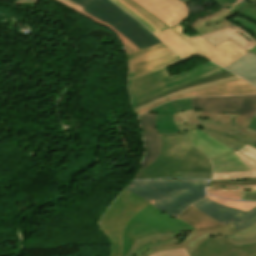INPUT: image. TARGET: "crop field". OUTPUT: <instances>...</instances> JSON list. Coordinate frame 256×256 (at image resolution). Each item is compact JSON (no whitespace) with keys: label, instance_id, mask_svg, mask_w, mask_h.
Returning a JSON list of instances; mask_svg holds the SVG:
<instances>
[{"label":"crop field","instance_id":"cbeb9de0","mask_svg":"<svg viewBox=\"0 0 256 256\" xmlns=\"http://www.w3.org/2000/svg\"><path fill=\"white\" fill-rule=\"evenodd\" d=\"M253 93H256V89L253 86H251L248 82L241 79V80L213 86V87H210V88H207L204 90H200L197 92L182 94L179 96H175V97L160 101V102L150 106L147 109L137 112V115H140V114L150 110L154 106L161 104L163 102L180 99V98H184V97H189V96L237 95V94H253Z\"/></svg>","mask_w":256,"mask_h":256},{"label":"crop field","instance_id":"4177f3b9","mask_svg":"<svg viewBox=\"0 0 256 256\" xmlns=\"http://www.w3.org/2000/svg\"><path fill=\"white\" fill-rule=\"evenodd\" d=\"M214 172H235L249 170L234 154L212 161Z\"/></svg>","mask_w":256,"mask_h":256},{"label":"crop field","instance_id":"d8731c3e","mask_svg":"<svg viewBox=\"0 0 256 256\" xmlns=\"http://www.w3.org/2000/svg\"><path fill=\"white\" fill-rule=\"evenodd\" d=\"M147 204L149 202L124 189L100 219V227L112 243L110 256H122V233L124 226Z\"/></svg>","mask_w":256,"mask_h":256},{"label":"crop field","instance_id":"ac0d7876","mask_svg":"<svg viewBox=\"0 0 256 256\" xmlns=\"http://www.w3.org/2000/svg\"><path fill=\"white\" fill-rule=\"evenodd\" d=\"M207 182L171 179L131 181L125 189L150 201L157 209L175 218L189 205L204 199Z\"/></svg>","mask_w":256,"mask_h":256},{"label":"crop field","instance_id":"d23c7cc5","mask_svg":"<svg viewBox=\"0 0 256 256\" xmlns=\"http://www.w3.org/2000/svg\"><path fill=\"white\" fill-rule=\"evenodd\" d=\"M180 1H182L186 4V3L190 2L191 0H180Z\"/></svg>","mask_w":256,"mask_h":256},{"label":"crop field","instance_id":"120bbe31","mask_svg":"<svg viewBox=\"0 0 256 256\" xmlns=\"http://www.w3.org/2000/svg\"><path fill=\"white\" fill-rule=\"evenodd\" d=\"M150 256H189L185 248L156 252Z\"/></svg>","mask_w":256,"mask_h":256},{"label":"crop field","instance_id":"b54c1fbb","mask_svg":"<svg viewBox=\"0 0 256 256\" xmlns=\"http://www.w3.org/2000/svg\"><path fill=\"white\" fill-rule=\"evenodd\" d=\"M243 192H251V191H256V186L253 187H243L242 188Z\"/></svg>","mask_w":256,"mask_h":256},{"label":"crop field","instance_id":"412701ff","mask_svg":"<svg viewBox=\"0 0 256 256\" xmlns=\"http://www.w3.org/2000/svg\"><path fill=\"white\" fill-rule=\"evenodd\" d=\"M215 1L220 6H232L220 9L221 12H216L213 16L195 21L192 29L214 46L230 39L249 52L256 46V40L226 19L239 13L256 22V6L249 3L238 4L236 0Z\"/></svg>","mask_w":256,"mask_h":256},{"label":"crop field","instance_id":"5d738f31","mask_svg":"<svg viewBox=\"0 0 256 256\" xmlns=\"http://www.w3.org/2000/svg\"><path fill=\"white\" fill-rule=\"evenodd\" d=\"M211 185H221V181H212Z\"/></svg>","mask_w":256,"mask_h":256},{"label":"crop field","instance_id":"733c2abd","mask_svg":"<svg viewBox=\"0 0 256 256\" xmlns=\"http://www.w3.org/2000/svg\"><path fill=\"white\" fill-rule=\"evenodd\" d=\"M156 114L146 113L140 116V122L143 128L144 140L146 145V154L141 169L147 167L159 155L161 150V137L157 134L154 124ZM150 128V129H148ZM140 169V170H141Z\"/></svg>","mask_w":256,"mask_h":256},{"label":"crop field","instance_id":"eef30255","mask_svg":"<svg viewBox=\"0 0 256 256\" xmlns=\"http://www.w3.org/2000/svg\"><path fill=\"white\" fill-rule=\"evenodd\" d=\"M237 79H241L235 75L231 76V77H227V78H222V79H219V80H216L214 82H210V83H206V84H203V85H199V86H196V87H191V88H187L185 90H181V91H178V92H175V93H172L170 95H167L165 97H162L158 100H155L153 102H150V103H147L137 109H135V112L138 111V110H141V109H144V108H147L149 107L151 104L153 103H156L160 100H163V99H166V98H169V97H172V96H175V95H179V94H182V93H186V92H192V91H197V90H200V89H203V88H207V87H210V86H213V85H217V84H221V83H225V82H229V81H233V80H237Z\"/></svg>","mask_w":256,"mask_h":256},{"label":"crop field","instance_id":"92a150f3","mask_svg":"<svg viewBox=\"0 0 256 256\" xmlns=\"http://www.w3.org/2000/svg\"><path fill=\"white\" fill-rule=\"evenodd\" d=\"M206 215V214H205ZM193 207L189 206L179 218L193 226L197 231L210 230L224 226L223 224L205 216Z\"/></svg>","mask_w":256,"mask_h":256},{"label":"crop field","instance_id":"b80d0937","mask_svg":"<svg viewBox=\"0 0 256 256\" xmlns=\"http://www.w3.org/2000/svg\"><path fill=\"white\" fill-rule=\"evenodd\" d=\"M206 190L241 191V187H235V186H208Z\"/></svg>","mask_w":256,"mask_h":256},{"label":"crop field","instance_id":"28ad6ade","mask_svg":"<svg viewBox=\"0 0 256 256\" xmlns=\"http://www.w3.org/2000/svg\"><path fill=\"white\" fill-rule=\"evenodd\" d=\"M191 206L225 225L232 221L237 231L256 224V207L244 212L222 206L207 198Z\"/></svg>","mask_w":256,"mask_h":256},{"label":"crop field","instance_id":"d9b57169","mask_svg":"<svg viewBox=\"0 0 256 256\" xmlns=\"http://www.w3.org/2000/svg\"><path fill=\"white\" fill-rule=\"evenodd\" d=\"M236 232L232 223H229L223 228L214 229L210 231H199V232H190L179 244L158 246L152 249L147 250L141 256H149L151 253L161 250L174 249L179 247H185L189 255L196 249L197 245L205 240L206 238L217 236V235H227Z\"/></svg>","mask_w":256,"mask_h":256},{"label":"crop field","instance_id":"8a807250","mask_svg":"<svg viewBox=\"0 0 256 256\" xmlns=\"http://www.w3.org/2000/svg\"><path fill=\"white\" fill-rule=\"evenodd\" d=\"M57 1L110 27L118 34L128 54L161 43L138 21L109 0Z\"/></svg>","mask_w":256,"mask_h":256},{"label":"crop field","instance_id":"750c4746","mask_svg":"<svg viewBox=\"0 0 256 256\" xmlns=\"http://www.w3.org/2000/svg\"><path fill=\"white\" fill-rule=\"evenodd\" d=\"M238 152L256 160V147H250L248 145L242 147ZM222 185H235V186H243V185H256L255 180H246V181H222ZM256 192L251 193H243V194H253Z\"/></svg>","mask_w":256,"mask_h":256},{"label":"crop field","instance_id":"c035e120","mask_svg":"<svg viewBox=\"0 0 256 256\" xmlns=\"http://www.w3.org/2000/svg\"><path fill=\"white\" fill-rule=\"evenodd\" d=\"M172 31H174L180 38H182L184 41L187 40L188 38L186 36H184L181 31H182V27L177 25L173 28H171Z\"/></svg>","mask_w":256,"mask_h":256},{"label":"crop field","instance_id":"bc2a9ffb","mask_svg":"<svg viewBox=\"0 0 256 256\" xmlns=\"http://www.w3.org/2000/svg\"><path fill=\"white\" fill-rule=\"evenodd\" d=\"M190 135L194 142V147L204 152L209 160L227 155L233 150L226 147L222 143L203 133L202 131L195 129L190 131Z\"/></svg>","mask_w":256,"mask_h":256},{"label":"crop field","instance_id":"a9b5d70f","mask_svg":"<svg viewBox=\"0 0 256 256\" xmlns=\"http://www.w3.org/2000/svg\"><path fill=\"white\" fill-rule=\"evenodd\" d=\"M243 163L251 170L246 172H236V173H213V180H245V179H255L256 178V161L238 153L234 152Z\"/></svg>","mask_w":256,"mask_h":256},{"label":"crop field","instance_id":"5866460e","mask_svg":"<svg viewBox=\"0 0 256 256\" xmlns=\"http://www.w3.org/2000/svg\"><path fill=\"white\" fill-rule=\"evenodd\" d=\"M233 237L234 239L256 237V225L234 234Z\"/></svg>","mask_w":256,"mask_h":256},{"label":"crop field","instance_id":"34b2d1b8","mask_svg":"<svg viewBox=\"0 0 256 256\" xmlns=\"http://www.w3.org/2000/svg\"><path fill=\"white\" fill-rule=\"evenodd\" d=\"M163 152L134 179L169 177L176 172H212L207 156L193 147L189 132L163 134Z\"/></svg>","mask_w":256,"mask_h":256},{"label":"crop field","instance_id":"d3111659","mask_svg":"<svg viewBox=\"0 0 256 256\" xmlns=\"http://www.w3.org/2000/svg\"><path fill=\"white\" fill-rule=\"evenodd\" d=\"M180 61H182V59L179 56H177V57H174L172 59L163 61L161 63L155 64V65H152V66H149V67H146V68L134 71V72H131V73H129V79L161 70L162 68H165L169 65L175 64V63L180 62Z\"/></svg>","mask_w":256,"mask_h":256},{"label":"crop field","instance_id":"ae1a2a85","mask_svg":"<svg viewBox=\"0 0 256 256\" xmlns=\"http://www.w3.org/2000/svg\"><path fill=\"white\" fill-rule=\"evenodd\" d=\"M198 115L220 120V121H228V122H235L238 124H241L243 126L248 127L250 120L236 114H212V113H207L203 111L198 110Z\"/></svg>","mask_w":256,"mask_h":256},{"label":"crop field","instance_id":"f4fd0767","mask_svg":"<svg viewBox=\"0 0 256 256\" xmlns=\"http://www.w3.org/2000/svg\"><path fill=\"white\" fill-rule=\"evenodd\" d=\"M225 71L206 62L190 71L171 76L166 69L129 81L132 106L177 87ZM144 85V87H142Z\"/></svg>","mask_w":256,"mask_h":256},{"label":"crop field","instance_id":"dafd665d","mask_svg":"<svg viewBox=\"0 0 256 256\" xmlns=\"http://www.w3.org/2000/svg\"><path fill=\"white\" fill-rule=\"evenodd\" d=\"M179 233L164 235L155 234L152 236L144 237L135 244L128 256H140L148 248L158 245L179 243V241L175 238Z\"/></svg>","mask_w":256,"mask_h":256},{"label":"crop field","instance_id":"e1f06a70","mask_svg":"<svg viewBox=\"0 0 256 256\" xmlns=\"http://www.w3.org/2000/svg\"><path fill=\"white\" fill-rule=\"evenodd\" d=\"M233 246H245L256 243V238H247L241 240H233L232 235L227 236Z\"/></svg>","mask_w":256,"mask_h":256},{"label":"crop field","instance_id":"00972430","mask_svg":"<svg viewBox=\"0 0 256 256\" xmlns=\"http://www.w3.org/2000/svg\"><path fill=\"white\" fill-rule=\"evenodd\" d=\"M174 56H177V54H175L172 50L167 48L144 56L137 57L129 61V72L161 62Z\"/></svg>","mask_w":256,"mask_h":256},{"label":"crop field","instance_id":"5142ce71","mask_svg":"<svg viewBox=\"0 0 256 256\" xmlns=\"http://www.w3.org/2000/svg\"><path fill=\"white\" fill-rule=\"evenodd\" d=\"M192 109L190 98L162 104L149 112L158 113L155 124L159 134L180 132L173 121V113Z\"/></svg>","mask_w":256,"mask_h":256},{"label":"crop field","instance_id":"c21b1889","mask_svg":"<svg viewBox=\"0 0 256 256\" xmlns=\"http://www.w3.org/2000/svg\"><path fill=\"white\" fill-rule=\"evenodd\" d=\"M243 200L256 201V194H254V195H243Z\"/></svg>","mask_w":256,"mask_h":256},{"label":"crop field","instance_id":"22f410ed","mask_svg":"<svg viewBox=\"0 0 256 256\" xmlns=\"http://www.w3.org/2000/svg\"><path fill=\"white\" fill-rule=\"evenodd\" d=\"M190 256H256V244L233 247L226 236L209 238L199 244Z\"/></svg>","mask_w":256,"mask_h":256},{"label":"crop field","instance_id":"e52e79f7","mask_svg":"<svg viewBox=\"0 0 256 256\" xmlns=\"http://www.w3.org/2000/svg\"><path fill=\"white\" fill-rule=\"evenodd\" d=\"M194 230L186 223L158 211L151 204L141 209L126 225L123 234V256L137 239L152 233H172Z\"/></svg>","mask_w":256,"mask_h":256},{"label":"crop field","instance_id":"4a817a6b","mask_svg":"<svg viewBox=\"0 0 256 256\" xmlns=\"http://www.w3.org/2000/svg\"><path fill=\"white\" fill-rule=\"evenodd\" d=\"M122 9L127 11L129 14L134 16L140 22H142L148 29H150L154 34L169 28L162 21L157 19L151 13H149L144 8L140 7L131 0H111Z\"/></svg>","mask_w":256,"mask_h":256},{"label":"crop field","instance_id":"03da06ac","mask_svg":"<svg viewBox=\"0 0 256 256\" xmlns=\"http://www.w3.org/2000/svg\"><path fill=\"white\" fill-rule=\"evenodd\" d=\"M249 129H253L256 130V116H254L253 120L251 121L249 127Z\"/></svg>","mask_w":256,"mask_h":256},{"label":"crop field","instance_id":"028f5c9d","mask_svg":"<svg viewBox=\"0 0 256 256\" xmlns=\"http://www.w3.org/2000/svg\"><path fill=\"white\" fill-rule=\"evenodd\" d=\"M163 48H167V46H165L163 43H161V44H158L156 46L150 47L148 49L141 50V51H139L137 53L129 54L128 58L130 60V59L135 58L137 56L144 55V54H147V53L159 50V49H163Z\"/></svg>","mask_w":256,"mask_h":256},{"label":"crop field","instance_id":"214f88e0","mask_svg":"<svg viewBox=\"0 0 256 256\" xmlns=\"http://www.w3.org/2000/svg\"><path fill=\"white\" fill-rule=\"evenodd\" d=\"M225 68L256 86V56L248 53Z\"/></svg>","mask_w":256,"mask_h":256},{"label":"crop field","instance_id":"1d83c4d3","mask_svg":"<svg viewBox=\"0 0 256 256\" xmlns=\"http://www.w3.org/2000/svg\"><path fill=\"white\" fill-rule=\"evenodd\" d=\"M208 198L222 204L225 206H229L232 208H236V209H240V210H244L247 211L253 207L256 206V203H245V202H235V201H229V200H224V199H220V198H216L213 196H209L207 195Z\"/></svg>","mask_w":256,"mask_h":256},{"label":"crop field","instance_id":"3316defc","mask_svg":"<svg viewBox=\"0 0 256 256\" xmlns=\"http://www.w3.org/2000/svg\"><path fill=\"white\" fill-rule=\"evenodd\" d=\"M193 109L212 113H237L250 120L256 115V95L191 98Z\"/></svg>","mask_w":256,"mask_h":256},{"label":"crop field","instance_id":"bd1437ed","mask_svg":"<svg viewBox=\"0 0 256 256\" xmlns=\"http://www.w3.org/2000/svg\"><path fill=\"white\" fill-rule=\"evenodd\" d=\"M231 75H233V74L230 73V72H228V71L222 72V73H220V74L211 76V77H209V78H206V79H203V80L194 82V83H192V84H189V85H186V86L177 88V89H175V90L169 91V92L164 93V94H162V95H159V96H157V97H154V98H151V99H149V100H146V101H144V102H142V103H140V104L134 106L133 109L136 108V107H138V106H140V105H142V104H145V103H147V102H150V101H152V100H155V99H157V98H159V97H162V96H164V95H167V94H169V93H172V92H174V91H177V90H180V89H185V88H187V87L199 85V84H202V83L214 81V80H216V79H219V78H222V77H226V76H231Z\"/></svg>","mask_w":256,"mask_h":256},{"label":"crop field","instance_id":"0bd39190","mask_svg":"<svg viewBox=\"0 0 256 256\" xmlns=\"http://www.w3.org/2000/svg\"><path fill=\"white\" fill-rule=\"evenodd\" d=\"M233 21H238L239 23H241L244 27H246L247 29H250L256 36V25L250 23L247 20L241 19L239 17H236ZM256 39V38H255ZM252 53H254L256 55V47L251 50Z\"/></svg>","mask_w":256,"mask_h":256},{"label":"crop field","instance_id":"730fd06b","mask_svg":"<svg viewBox=\"0 0 256 256\" xmlns=\"http://www.w3.org/2000/svg\"><path fill=\"white\" fill-rule=\"evenodd\" d=\"M174 121L181 132L190 131L200 127L196 110L175 113Z\"/></svg>","mask_w":256,"mask_h":256},{"label":"crop field","instance_id":"d1516ede","mask_svg":"<svg viewBox=\"0 0 256 256\" xmlns=\"http://www.w3.org/2000/svg\"><path fill=\"white\" fill-rule=\"evenodd\" d=\"M168 26H173L187 17V8L178 0H133Z\"/></svg>","mask_w":256,"mask_h":256},{"label":"crop field","instance_id":"5a996713","mask_svg":"<svg viewBox=\"0 0 256 256\" xmlns=\"http://www.w3.org/2000/svg\"><path fill=\"white\" fill-rule=\"evenodd\" d=\"M200 129L230 147L238 151L242 146L248 144L256 146V131L235 123L220 122L199 116Z\"/></svg>","mask_w":256,"mask_h":256},{"label":"crop field","instance_id":"d32e631a","mask_svg":"<svg viewBox=\"0 0 256 256\" xmlns=\"http://www.w3.org/2000/svg\"><path fill=\"white\" fill-rule=\"evenodd\" d=\"M209 194L223 197L225 199L241 200V192L206 191Z\"/></svg>","mask_w":256,"mask_h":256},{"label":"crop field","instance_id":"dd49c442","mask_svg":"<svg viewBox=\"0 0 256 256\" xmlns=\"http://www.w3.org/2000/svg\"><path fill=\"white\" fill-rule=\"evenodd\" d=\"M156 36L185 59L200 54L223 67L248 53L230 40L214 47L200 36L184 42L170 29Z\"/></svg>","mask_w":256,"mask_h":256}]
</instances>
